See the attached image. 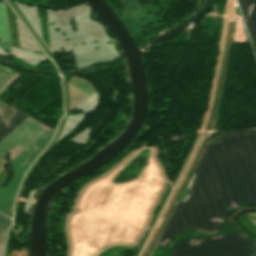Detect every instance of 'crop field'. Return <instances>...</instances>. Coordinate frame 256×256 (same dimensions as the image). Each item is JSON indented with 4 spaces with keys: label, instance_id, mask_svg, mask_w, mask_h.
<instances>
[{
    "label": "crop field",
    "instance_id": "1",
    "mask_svg": "<svg viewBox=\"0 0 256 256\" xmlns=\"http://www.w3.org/2000/svg\"><path fill=\"white\" fill-rule=\"evenodd\" d=\"M53 130L49 129L24 151L11 160L12 167L15 171L11 183L6 187H0V211L10 215V207L15 197L19 180L25 168L33 161L36 155L47 143L52 136Z\"/></svg>",
    "mask_w": 256,
    "mask_h": 256
},
{
    "label": "crop field",
    "instance_id": "2",
    "mask_svg": "<svg viewBox=\"0 0 256 256\" xmlns=\"http://www.w3.org/2000/svg\"><path fill=\"white\" fill-rule=\"evenodd\" d=\"M48 129L29 117L24 120L0 141V170L7 165L6 153L9 152L10 159L14 158Z\"/></svg>",
    "mask_w": 256,
    "mask_h": 256
},
{
    "label": "crop field",
    "instance_id": "3",
    "mask_svg": "<svg viewBox=\"0 0 256 256\" xmlns=\"http://www.w3.org/2000/svg\"><path fill=\"white\" fill-rule=\"evenodd\" d=\"M26 118L6 104L0 108V140Z\"/></svg>",
    "mask_w": 256,
    "mask_h": 256
},
{
    "label": "crop field",
    "instance_id": "4",
    "mask_svg": "<svg viewBox=\"0 0 256 256\" xmlns=\"http://www.w3.org/2000/svg\"><path fill=\"white\" fill-rule=\"evenodd\" d=\"M0 39L9 43L8 25L4 2H0ZM0 48L11 51L10 45L0 41Z\"/></svg>",
    "mask_w": 256,
    "mask_h": 256
},
{
    "label": "crop field",
    "instance_id": "5",
    "mask_svg": "<svg viewBox=\"0 0 256 256\" xmlns=\"http://www.w3.org/2000/svg\"><path fill=\"white\" fill-rule=\"evenodd\" d=\"M20 73L0 65V91Z\"/></svg>",
    "mask_w": 256,
    "mask_h": 256
},
{
    "label": "crop field",
    "instance_id": "6",
    "mask_svg": "<svg viewBox=\"0 0 256 256\" xmlns=\"http://www.w3.org/2000/svg\"><path fill=\"white\" fill-rule=\"evenodd\" d=\"M68 87H69V93H70V110L89 97L70 86Z\"/></svg>",
    "mask_w": 256,
    "mask_h": 256
},
{
    "label": "crop field",
    "instance_id": "7",
    "mask_svg": "<svg viewBox=\"0 0 256 256\" xmlns=\"http://www.w3.org/2000/svg\"><path fill=\"white\" fill-rule=\"evenodd\" d=\"M3 216L0 214V228L6 229L9 220Z\"/></svg>",
    "mask_w": 256,
    "mask_h": 256
},
{
    "label": "crop field",
    "instance_id": "8",
    "mask_svg": "<svg viewBox=\"0 0 256 256\" xmlns=\"http://www.w3.org/2000/svg\"><path fill=\"white\" fill-rule=\"evenodd\" d=\"M4 235H5V231L0 229V244L2 245H3Z\"/></svg>",
    "mask_w": 256,
    "mask_h": 256
},
{
    "label": "crop field",
    "instance_id": "9",
    "mask_svg": "<svg viewBox=\"0 0 256 256\" xmlns=\"http://www.w3.org/2000/svg\"><path fill=\"white\" fill-rule=\"evenodd\" d=\"M4 105V103L0 102V107H2Z\"/></svg>",
    "mask_w": 256,
    "mask_h": 256
},
{
    "label": "crop field",
    "instance_id": "10",
    "mask_svg": "<svg viewBox=\"0 0 256 256\" xmlns=\"http://www.w3.org/2000/svg\"><path fill=\"white\" fill-rule=\"evenodd\" d=\"M2 247H3V246H2V245H0V253H1Z\"/></svg>",
    "mask_w": 256,
    "mask_h": 256
}]
</instances>
